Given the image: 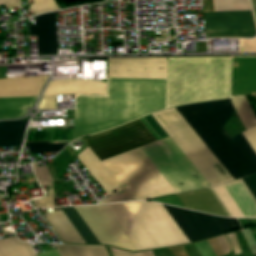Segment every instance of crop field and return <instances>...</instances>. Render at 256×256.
<instances>
[{"label":"crop field","instance_id":"120bbe31","mask_svg":"<svg viewBox=\"0 0 256 256\" xmlns=\"http://www.w3.org/2000/svg\"><path fill=\"white\" fill-rule=\"evenodd\" d=\"M164 40H167V37H164V38L157 37V38H155V42L164 41Z\"/></svg>","mask_w":256,"mask_h":256},{"label":"crop field","instance_id":"00972430","mask_svg":"<svg viewBox=\"0 0 256 256\" xmlns=\"http://www.w3.org/2000/svg\"><path fill=\"white\" fill-rule=\"evenodd\" d=\"M60 142H71V141H60ZM49 143H59V142H49ZM67 143L60 144H48V142L39 143H26L30 153L33 152H47V151H60L64 145Z\"/></svg>","mask_w":256,"mask_h":256},{"label":"crop field","instance_id":"bd1437ed","mask_svg":"<svg viewBox=\"0 0 256 256\" xmlns=\"http://www.w3.org/2000/svg\"><path fill=\"white\" fill-rule=\"evenodd\" d=\"M7 10L21 4L20 0H3Z\"/></svg>","mask_w":256,"mask_h":256},{"label":"crop field","instance_id":"cbeb9de0","mask_svg":"<svg viewBox=\"0 0 256 256\" xmlns=\"http://www.w3.org/2000/svg\"><path fill=\"white\" fill-rule=\"evenodd\" d=\"M76 157L92 175V177L98 182V184L104 189L107 195L119 186L117 181L112 177V175L107 171V169L102 165V163L89 148L85 149Z\"/></svg>","mask_w":256,"mask_h":256},{"label":"crop field","instance_id":"8a807250","mask_svg":"<svg viewBox=\"0 0 256 256\" xmlns=\"http://www.w3.org/2000/svg\"><path fill=\"white\" fill-rule=\"evenodd\" d=\"M176 109L234 179L256 172V153L242 133L231 139L221 127L235 112L230 99ZM176 109L152 116L210 187L233 180ZM169 137L141 148L176 193L210 188ZM141 148L102 161L121 186L99 204L175 193Z\"/></svg>","mask_w":256,"mask_h":256},{"label":"crop field","instance_id":"4177f3b9","mask_svg":"<svg viewBox=\"0 0 256 256\" xmlns=\"http://www.w3.org/2000/svg\"><path fill=\"white\" fill-rule=\"evenodd\" d=\"M38 109H56V96H43Z\"/></svg>","mask_w":256,"mask_h":256},{"label":"crop field","instance_id":"412701ff","mask_svg":"<svg viewBox=\"0 0 256 256\" xmlns=\"http://www.w3.org/2000/svg\"><path fill=\"white\" fill-rule=\"evenodd\" d=\"M138 250L188 243V239L162 206L153 202L106 205Z\"/></svg>","mask_w":256,"mask_h":256},{"label":"crop field","instance_id":"5866460e","mask_svg":"<svg viewBox=\"0 0 256 256\" xmlns=\"http://www.w3.org/2000/svg\"><path fill=\"white\" fill-rule=\"evenodd\" d=\"M0 5H3L2 0H0Z\"/></svg>","mask_w":256,"mask_h":256},{"label":"crop field","instance_id":"d32e631a","mask_svg":"<svg viewBox=\"0 0 256 256\" xmlns=\"http://www.w3.org/2000/svg\"><path fill=\"white\" fill-rule=\"evenodd\" d=\"M161 36H167V32L166 31H161Z\"/></svg>","mask_w":256,"mask_h":256},{"label":"crop field","instance_id":"dafd665d","mask_svg":"<svg viewBox=\"0 0 256 256\" xmlns=\"http://www.w3.org/2000/svg\"><path fill=\"white\" fill-rule=\"evenodd\" d=\"M215 11L250 10L247 0H213Z\"/></svg>","mask_w":256,"mask_h":256},{"label":"crop field","instance_id":"5a996713","mask_svg":"<svg viewBox=\"0 0 256 256\" xmlns=\"http://www.w3.org/2000/svg\"><path fill=\"white\" fill-rule=\"evenodd\" d=\"M207 39L256 38L251 11L203 12Z\"/></svg>","mask_w":256,"mask_h":256},{"label":"crop field","instance_id":"5142ce71","mask_svg":"<svg viewBox=\"0 0 256 256\" xmlns=\"http://www.w3.org/2000/svg\"><path fill=\"white\" fill-rule=\"evenodd\" d=\"M44 217L63 242L85 244L62 211L45 214Z\"/></svg>","mask_w":256,"mask_h":256},{"label":"crop field","instance_id":"750c4746","mask_svg":"<svg viewBox=\"0 0 256 256\" xmlns=\"http://www.w3.org/2000/svg\"><path fill=\"white\" fill-rule=\"evenodd\" d=\"M217 240H218L220 246L222 247L223 251L225 252V254L229 253L231 247L228 243L226 236L224 235V236L217 237Z\"/></svg>","mask_w":256,"mask_h":256},{"label":"crop field","instance_id":"d9b57169","mask_svg":"<svg viewBox=\"0 0 256 256\" xmlns=\"http://www.w3.org/2000/svg\"><path fill=\"white\" fill-rule=\"evenodd\" d=\"M27 121L0 122V147L21 146Z\"/></svg>","mask_w":256,"mask_h":256},{"label":"crop field","instance_id":"d8731c3e","mask_svg":"<svg viewBox=\"0 0 256 256\" xmlns=\"http://www.w3.org/2000/svg\"><path fill=\"white\" fill-rule=\"evenodd\" d=\"M253 196L256 198V174L242 178ZM239 179L227 184L224 187L244 215V217H256V200L242 181ZM223 185L210 189L218 203L221 205L227 216L243 217Z\"/></svg>","mask_w":256,"mask_h":256},{"label":"crop field","instance_id":"f4fd0767","mask_svg":"<svg viewBox=\"0 0 256 256\" xmlns=\"http://www.w3.org/2000/svg\"><path fill=\"white\" fill-rule=\"evenodd\" d=\"M76 228L86 244H105L122 249L136 251L137 248L122 230L120 225L105 207L100 206H81L61 208Z\"/></svg>","mask_w":256,"mask_h":256},{"label":"crop field","instance_id":"ac0d7876","mask_svg":"<svg viewBox=\"0 0 256 256\" xmlns=\"http://www.w3.org/2000/svg\"><path fill=\"white\" fill-rule=\"evenodd\" d=\"M167 80L109 78L108 96H78L73 141L165 109Z\"/></svg>","mask_w":256,"mask_h":256},{"label":"crop field","instance_id":"a9b5d70f","mask_svg":"<svg viewBox=\"0 0 256 256\" xmlns=\"http://www.w3.org/2000/svg\"><path fill=\"white\" fill-rule=\"evenodd\" d=\"M34 3L30 5V9L34 13V15L45 12L57 10L58 7L54 3L53 0H32Z\"/></svg>","mask_w":256,"mask_h":256},{"label":"crop field","instance_id":"22f410ed","mask_svg":"<svg viewBox=\"0 0 256 256\" xmlns=\"http://www.w3.org/2000/svg\"><path fill=\"white\" fill-rule=\"evenodd\" d=\"M48 76L0 79V97L38 96Z\"/></svg>","mask_w":256,"mask_h":256},{"label":"crop field","instance_id":"1d83c4d3","mask_svg":"<svg viewBox=\"0 0 256 256\" xmlns=\"http://www.w3.org/2000/svg\"><path fill=\"white\" fill-rule=\"evenodd\" d=\"M36 255L37 256H59L55 249L46 251V252H42V253H38Z\"/></svg>","mask_w":256,"mask_h":256},{"label":"crop field","instance_id":"d3111659","mask_svg":"<svg viewBox=\"0 0 256 256\" xmlns=\"http://www.w3.org/2000/svg\"><path fill=\"white\" fill-rule=\"evenodd\" d=\"M226 236H227V238L229 240V243H230V245L232 247V250H233L234 254L236 255V254L240 253L241 251H240L238 242L236 240L235 234L232 233V234H228Z\"/></svg>","mask_w":256,"mask_h":256},{"label":"crop field","instance_id":"eef30255","mask_svg":"<svg viewBox=\"0 0 256 256\" xmlns=\"http://www.w3.org/2000/svg\"><path fill=\"white\" fill-rule=\"evenodd\" d=\"M243 135L256 152V127L243 132Z\"/></svg>","mask_w":256,"mask_h":256},{"label":"crop field","instance_id":"3316defc","mask_svg":"<svg viewBox=\"0 0 256 256\" xmlns=\"http://www.w3.org/2000/svg\"><path fill=\"white\" fill-rule=\"evenodd\" d=\"M107 77L167 79L166 58L111 59Z\"/></svg>","mask_w":256,"mask_h":256},{"label":"crop field","instance_id":"d1516ede","mask_svg":"<svg viewBox=\"0 0 256 256\" xmlns=\"http://www.w3.org/2000/svg\"><path fill=\"white\" fill-rule=\"evenodd\" d=\"M59 94L105 95L106 82H97L95 80L50 81L44 95Z\"/></svg>","mask_w":256,"mask_h":256},{"label":"crop field","instance_id":"733c2abd","mask_svg":"<svg viewBox=\"0 0 256 256\" xmlns=\"http://www.w3.org/2000/svg\"><path fill=\"white\" fill-rule=\"evenodd\" d=\"M37 97L0 99V118H16L27 113L26 107L32 108Z\"/></svg>","mask_w":256,"mask_h":256},{"label":"crop field","instance_id":"ae1a2a85","mask_svg":"<svg viewBox=\"0 0 256 256\" xmlns=\"http://www.w3.org/2000/svg\"><path fill=\"white\" fill-rule=\"evenodd\" d=\"M110 250L113 256H153L151 251L132 254V253H128V252L117 250V249L110 248Z\"/></svg>","mask_w":256,"mask_h":256},{"label":"crop field","instance_id":"214f88e0","mask_svg":"<svg viewBox=\"0 0 256 256\" xmlns=\"http://www.w3.org/2000/svg\"><path fill=\"white\" fill-rule=\"evenodd\" d=\"M61 256H109L104 247L54 245Z\"/></svg>","mask_w":256,"mask_h":256},{"label":"crop field","instance_id":"028f5c9d","mask_svg":"<svg viewBox=\"0 0 256 256\" xmlns=\"http://www.w3.org/2000/svg\"><path fill=\"white\" fill-rule=\"evenodd\" d=\"M254 14H255V17H256V12H254Z\"/></svg>","mask_w":256,"mask_h":256},{"label":"crop field","instance_id":"28ad6ade","mask_svg":"<svg viewBox=\"0 0 256 256\" xmlns=\"http://www.w3.org/2000/svg\"><path fill=\"white\" fill-rule=\"evenodd\" d=\"M29 36H37L38 54H57L55 12L36 16Z\"/></svg>","mask_w":256,"mask_h":256},{"label":"crop field","instance_id":"92a150f3","mask_svg":"<svg viewBox=\"0 0 256 256\" xmlns=\"http://www.w3.org/2000/svg\"><path fill=\"white\" fill-rule=\"evenodd\" d=\"M231 101L246 130L256 126V117L246 97H233Z\"/></svg>","mask_w":256,"mask_h":256},{"label":"crop field","instance_id":"bc2a9ffb","mask_svg":"<svg viewBox=\"0 0 256 256\" xmlns=\"http://www.w3.org/2000/svg\"><path fill=\"white\" fill-rule=\"evenodd\" d=\"M0 256H35L29 244L19 242L17 237L0 239Z\"/></svg>","mask_w":256,"mask_h":256},{"label":"crop field","instance_id":"34b2d1b8","mask_svg":"<svg viewBox=\"0 0 256 256\" xmlns=\"http://www.w3.org/2000/svg\"><path fill=\"white\" fill-rule=\"evenodd\" d=\"M230 57L169 58L166 108L228 98Z\"/></svg>","mask_w":256,"mask_h":256},{"label":"crop field","instance_id":"e52e79f7","mask_svg":"<svg viewBox=\"0 0 256 256\" xmlns=\"http://www.w3.org/2000/svg\"><path fill=\"white\" fill-rule=\"evenodd\" d=\"M163 206L190 240H202L240 229L236 219L210 216L168 205ZM188 240V241H189Z\"/></svg>","mask_w":256,"mask_h":256},{"label":"crop field","instance_id":"4a817a6b","mask_svg":"<svg viewBox=\"0 0 256 256\" xmlns=\"http://www.w3.org/2000/svg\"><path fill=\"white\" fill-rule=\"evenodd\" d=\"M37 181L40 186L48 185V194L44 199L32 201L36 208H50L56 206L54 190L52 186L53 179L48 171L47 166L37 168L36 163L32 164Z\"/></svg>","mask_w":256,"mask_h":256},{"label":"crop field","instance_id":"730fd06b","mask_svg":"<svg viewBox=\"0 0 256 256\" xmlns=\"http://www.w3.org/2000/svg\"><path fill=\"white\" fill-rule=\"evenodd\" d=\"M152 201H158V202H163V203L175 205V206H178V207H183L181 205L180 201L178 200V198L176 197V195L160 197V198L152 199Z\"/></svg>","mask_w":256,"mask_h":256},{"label":"crop field","instance_id":"dd49c442","mask_svg":"<svg viewBox=\"0 0 256 256\" xmlns=\"http://www.w3.org/2000/svg\"><path fill=\"white\" fill-rule=\"evenodd\" d=\"M83 140L100 161L155 141L139 119Z\"/></svg>","mask_w":256,"mask_h":256}]
</instances>
